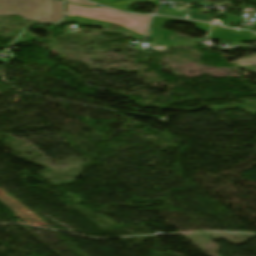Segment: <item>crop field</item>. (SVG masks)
I'll return each mask as SVG.
<instances>
[{"label":"crop field","instance_id":"e52e79f7","mask_svg":"<svg viewBox=\"0 0 256 256\" xmlns=\"http://www.w3.org/2000/svg\"><path fill=\"white\" fill-rule=\"evenodd\" d=\"M221 15L228 17L225 20L226 22H235V23L240 24V21H238L239 17L233 16V15H230V14H226V13H223Z\"/></svg>","mask_w":256,"mask_h":256},{"label":"crop field","instance_id":"3316defc","mask_svg":"<svg viewBox=\"0 0 256 256\" xmlns=\"http://www.w3.org/2000/svg\"><path fill=\"white\" fill-rule=\"evenodd\" d=\"M99 4H103V3H109V2H113L115 0H90Z\"/></svg>","mask_w":256,"mask_h":256},{"label":"crop field","instance_id":"412701ff","mask_svg":"<svg viewBox=\"0 0 256 256\" xmlns=\"http://www.w3.org/2000/svg\"><path fill=\"white\" fill-rule=\"evenodd\" d=\"M171 19H175V20H180V21H187V22H193L197 25L198 28L204 30V31H209L211 25L208 23H202V22H194V21H188V20H182V19H176V18H167V17H159V16H154L153 21H152V26L158 27V28H162V25L164 23V21L167 20H171Z\"/></svg>","mask_w":256,"mask_h":256},{"label":"crop field","instance_id":"d1516ede","mask_svg":"<svg viewBox=\"0 0 256 256\" xmlns=\"http://www.w3.org/2000/svg\"><path fill=\"white\" fill-rule=\"evenodd\" d=\"M63 22H64V21H62V23H60V24H55V25H52V26H60V25L63 24Z\"/></svg>","mask_w":256,"mask_h":256},{"label":"crop field","instance_id":"5142ce71","mask_svg":"<svg viewBox=\"0 0 256 256\" xmlns=\"http://www.w3.org/2000/svg\"><path fill=\"white\" fill-rule=\"evenodd\" d=\"M255 32H256V30H255Z\"/></svg>","mask_w":256,"mask_h":256},{"label":"crop field","instance_id":"ac0d7876","mask_svg":"<svg viewBox=\"0 0 256 256\" xmlns=\"http://www.w3.org/2000/svg\"><path fill=\"white\" fill-rule=\"evenodd\" d=\"M61 2L49 0V15L44 22H57L61 19ZM23 15L26 19L47 15V0H0V15Z\"/></svg>","mask_w":256,"mask_h":256},{"label":"crop field","instance_id":"f4fd0767","mask_svg":"<svg viewBox=\"0 0 256 256\" xmlns=\"http://www.w3.org/2000/svg\"><path fill=\"white\" fill-rule=\"evenodd\" d=\"M143 2H152V1L151 0H130V1H125V2H121V3L105 4L104 6L128 12L129 7L132 4H134V3H143Z\"/></svg>","mask_w":256,"mask_h":256},{"label":"crop field","instance_id":"d8731c3e","mask_svg":"<svg viewBox=\"0 0 256 256\" xmlns=\"http://www.w3.org/2000/svg\"><path fill=\"white\" fill-rule=\"evenodd\" d=\"M238 64L239 65H256V56L248 60L240 61L238 62Z\"/></svg>","mask_w":256,"mask_h":256},{"label":"crop field","instance_id":"34b2d1b8","mask_svg":"<svg viewBox=\"0 0 256 256\" xmlns=\"http://www.w3.org/2000/svg\"><path fill=\"white\" fill-rule=\"evenodd\" d=\"M255 36L256 35L251 32L225 29L215 25L208 39H223L237 42H245L253 40Z\"/></svg>","mask_w":256,"mask_h":256},{"label":"crop field","instance_id":"5a996713","mask_svg":"<svg viewBox=\"0 0 256 256\" xmlns=\"http://www.w3.org/2000/svg\"><path fill=\"white\" fill-rule=\"evenodd\" d=\"M68 1L72 2V3L84 5V6H97V5H93V4L89 3V2H86L84 0H68Z\"/></svg>","mask_w":256,"mask_h":256},{"label":"crop field","instance_id":"8a807250","mask_svg":"<svg viewBox=\"0 0 256 256\" xmlns=\"http://www.w3.org/2000/svg\"><path fill=\"white\" fill-rule=\"evenodd\" d=\"M68 16L80 15L120 24L140 35H145L151 16H135L105 7L89 8L67 2Z\"/></svg>","mask_w":256,"mask_h":256},{"label":"crop field","instance_id":"28ad6ade","mask_svg":"<svg viewBox=\"0 0 256 256\" xmlns=\"http://www.w3.org/2000/svg\"><path fill=\"white\" fill-rule=\"evenodd\" d=\"M181 1H183L184 3L196 2V1L207 2V1H204V0H181ZM207 3H212V2H207ZM212 4H216V3H212Z\"/></svg>","mask_w":256,"mask_h":256},{"label":"crop field","instance_id":"dd49c442","mask_svg":"<svg viewBox=\"0 0 256 256\" xmlns=\"http://www.w3.org/2000/svg\"><path fill=\"white\" fill-rule=\"evenodd\" d=\"M186 18H189V19H196V20H204V21H209L211 20L210 17L202 14V13H198V12H195V11H192L190 9H187V13H186Z\"/></svg>","mask_w":256,"mask_h":256},{"label":"crop field","instance_id":"22f410ed","mask_svg":"<svg viewBox=\"0 0 256 256\" xmlns=\"http://www.w3.org/2000/svg\"><path fill=\"white\" fill-rule=\"evenodd\" d=\"M21 17H22V16H21ZM32 20H38V21L42 22V20L39 19V18H35V19H32Z\"/></svg>","mask_w":256,"mask_h":256},{"label":"crop field","instance_id":"cbeb9de0","mask_svg":"<svg viewBox=\"0 0 256 256\" xmlns=\"http://www.w3.org/2000/svg\"><path fill=\"white\" fill-rule=\"evenodd\" d=\"M233 1H246V0H233ZM232 2V1H231Z\"/></svg>","mask_w":256,"mask_h":256}]
</instances>
